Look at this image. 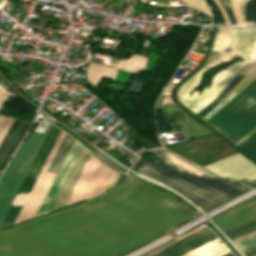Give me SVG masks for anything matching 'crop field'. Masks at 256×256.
<instances>
[{"instance_id":"0bd39190","label":"crop field","mask_w":256,"mask_h":256,"mask_svg":"<svg viewBox=\"0 0 256 256\" xmlns=\"http://www.w3.org/2000/svg\"><path fill=\"white\" fill-rule=\"evenodd\" d=\"M212 50H213V51H216V52H218V53L221 51V50H217V49H213V48H212Z\"/></svg>"},{"instance_id":"ae1a2a85","label":"crop field","mask_w":256,"mask_h":256,"mask_svg":"<svg viewBox=\"0 0 256 256\" xmlns=\"http://www.w3.org/2000/svg\"><path fill=\"white\" fill-rule=\"evenodd\" d=\"M220 1H221V3L223 4L224 8L226 9V11H227V13H228V15H229V17H230V19H231V22H232V23H236L235 18H234V15H233V13H232V10H231V7H230V4H229L228 0H220Z\"/></svg>"},{"instance_id":"a9b5d70f","label":"crop field","mask_w":256,"mask_h":256,"mask_svg":"<svg viewBox=\"0 0 256 256\" xmlns=\"http://www.w3.org/2000/svg\"><path fill=\"white\" fill-rule=\"evenodd\" d=\"M231 41H232V37L216 35L212 47L223 50L225 47H227L231 43Z\"/></svg>"},{"instance_id":"4a817a6b","label":"crop field","mask_w":256,"mask_h":256,"mask_svg":"<svg viewBox=\"0 0 256 256\" xmlns=\"http://www.w3.org/2000/svg\"><path fill=\"white\" fill-rule=\"evenodd\" d=\"M21 120L14 119L12 125L10 126L9 130L7 131L5 137L3 138L0 144V157L5 150L7 144L9 143L10 139L12 138L14 132L16 131L17 127L19 126Z\"/></svg>"},{"instance_id":"c21b1889","label":"crop field","mask_w":256,"mask_h":256,"mask_svg":"<svg viewBox=\"0 0 256 256\" xmlns=\"http://www.w3.org/2000/svg\"><path fill=\"white\" fill-rule=\"evenodd\" d=\"M227 256H234V255L231 253V254H229V255H227Z\"/></svg>"},{"instance_id":"dafd665d","label":"crop field","mask_w":256,"mask_h":256,"mask_svg":"<svg viewBox=\"0 0 256 256\" xmlns=\"http://www.w3.org/2000/svg\"><path fill=\"white\" fill-rule=\"evenodd\" d=\"M256 19V0H249L245 4V20Z\"/></svg>"},{"instance_id":"34b2d1b8","label":"crop field","mask_w":256,"mask_h":256,"mask_svg":"<svg viewBox=\"0 0 256 256\" xmlns=\"http://www.w3.org/2000/svg\"><path fill=\"white\" fill-rule=\"evenodd\" d=\"M207 122L236 143L242 139L256 126V79Z\"/></svg>"},{"instance_id":"733c2abd","label":"crop field","mask_w":256,"mask_h":256,"mask_svg":"<svg viewBox=\"0 0 256 256\" xmlns=\"http://www.w3.org/2000/svg\"><path fill=\"white\" fill-rule=\"evenodd\" d=\"M243 78V76L236 74L235 77L231 80V82L226 86V88L214 99L212 100L205 108H203L197 114L201 117L206 114L212 107H214L220 100H222L235 86L236 84Z\"/></svg>"},{"instance_id":"5a996713","label":"crop field","mask_w":256,"mask_h":256,"mask_svg":"<svg viewBox=\"0 0 256 256\" xmlns=\"http://www.w3.org/2000/svg\"><path fill=\"white\" fill-rule=\"evenodd\" d=\"M205 167L236 180L256 178V166L239 153Z\"/></svg>"},{"instance_id":"8a807250","label":"crop field","mask_w":256,"mask_h":256,"mask_svg":"<svg viewBox=\"0 0 256 256\" xmlns=\"http://www.w3.org/2000/svg\"><path fill=\"white\" fill-rule=\"evenodd\" d=\"M160 190L129 175L103 196L1 230L0 256H118L196 214Z\"/></svg>"},{"instance_id":"d8731c3e","label":"crop field","mask_w":256,"mask_h":256,"mask_svg":"<svg viewBox=\"0 0 256 256\" xmlns=\"http://www.w3.org/2000/svg\"><path fill=\"white\" fill-rule=\"evenodd\" d=\"M63 135H64V132L61 131L47 161L45 162L32 190H31V192H30V194H29V196H28L23 208L21 209L15 222L35 216L53 178L55 177L54 174H50L45 171H46Z\"/></svg>"},{"instance_id":"5142ce71","label":"crop field","mask_w":256,"mask_h":256,"mask_svg":"<svg viewBox=\"0 0 256 256\" xmlns=\"http://www.w3.org/2000/svg\"><path fill=\"white\" fill-rule=\"evenodd\" d=\"M234 73L226 71L220 81L217 83L215 88L196 106L192 109L194 112L200 111L205 107L213 98H215L227 85L230 79L233 77Z\"/></svg>"},{"instance_id":"4177f3b9","label":"crop field","mask_w":256,"mask_h":256,"mask_svg":"<svg viewBox=\"0 0 256 256\" xmlns=\"http://www.w3.org/2000/svg\"><path fill=\"white\" fill-rule=\"evenodd\" d=\"M254 226H256V219L255 220H253V221H250V222H248V223H246V224H243V225H241V226H238V227H236V228H233V229H231V230H228V231H226V232H224L228 237H230V236H232V235H235V234H237V233H240V232H242V231H244V230H247V229H249V228H252V227H254Z\"/></svg>"},{"instance_id":"eef30255","label":"crop field","mask_w":256,"mask_h":256,"mask_svg":"<svg viewBox=\"0 0 256 256\" xmlns=\"http://www.w3.org/2000/svg\"><path fill=\"white\" fill-rule=\"evenodd\" d=\"M12 121V118L0 116V142L4 137L6 131L8 130L9 126L11 125Z\"/></svg>"},{"instance_id":"3316defc","label":"crop field","mask_w":256,"mask_h":256,"mask_svg":"<svg viewBox=\"0 0 256 256\" xmlns=\"http://www.w3.org/2000/svg\"><path fill=\"white\" fill-rule=\"evenodd\" d=\"M147 59V57L134 54L126 60H119L115 68L90 62L87 69V80L96 86L99 79L104 76L114 80L118 68L128 72L142 71L145 68Z\"/></svg>"},{"instance_id":"bc2a9ffb","label":"crop field","mask_w":256,"mask_h":256,"mask_svg":"<svg viewBox=\"0 0 256 256\" xmlns=\"http://www.w3.org/2000/svg\"><path fill=\"white\" fill-rule=\"evenodd\" d=\"M225 70H222L218 72L215 77L213 78L212 84L210 88L207 90L209 84L206 86V88L202 91V93L188 106V108L191 110L200 100H202L216 85L217 81L221 77V75L224 73ZM210 83V82H209Z\"/></svg>"},{"instance_id":"5866460e","label":"crop field","mask_w":256,"mask_h":256,"mask_svg":"<svg viewBox=\"0 0 256 256\" xmlns=\"http://www.w3.org/2000/svg\"><path fill=\"white\" fill-rule=\"evenodd\" d=\"M202 43V44H208V41H205V40H203V39H200V38H198V40H197V43Z\"/></svg>"},{"instance_id":"dd49c442","label":"crop field","mask_w":256,"mask_h":256,"mask_svg":"<svg viewBox=\"0 0 256 256\" xmlns=\"http://www.w3.org/2000/svg\"><path fill=\"white\" fill-rule=\"evenodd\" d=\"M113 172L92 157L68 204L104 192Z\"/></svg>"},{"instance_id":"1d83c4d3","label":"crop field","mask_w":256,"mask_h":256,"mask_svg":"<svg viewBox=\"0 0 256 256\" xmlns=\"http://www.w3.org/2000/svg\"><path fill=\"white\" fill-rule=\"evenodd\" d=\"M0 94L2 95V96H4V97H7L9 94H11V93H8V92H6L4 89H3V87L0 85Z\"/></svg>"},{"instance_id":"d9b57169","label":"crop field","mask_w":256,"mask_h":256,"mask_svg":"<svg viewBox=\"0 0 256 256\" xmlns=\"http://www.w3.org/2000/svg\"><path fill=\"white\" fill-rule=\"evenodd\" d=\"M253 80H254L253 78L244 77L242 81L235 87V89L221 103H219L213 110H211L202 118H204L207 121L210 117H212L218 110H220L226 103H228L234 96H236L242 89H244Z\"/></svg>"},{"instance_id":"00972430","label":"crop field","mask_w":256,"mask_h":256,"mask_svg":"<svg viewBox=\"0 0 256 256\" xmlns=\"http://www.w3.org/2000/svg\"><path fill=\"white\" fill-rule=\"evenodd\" d=\"M245 0H229L233 13L238 23H242L241 5Z\"/></svg>"},{"instance_id":"d3111659","label":"crop field","mask_w":256,"mask_h":256,"mask_svg":"<svg viewBox=\"0 0 256 256\" xmlns=\"http://www.w3.org/2000/svg\"><path fill=\"white\" fill-rule=\"evenodd\" d=\"M214 2L219 7V9H220V11H221V13H222V15L224 17L225 22L226 23H231L229 18H228V16H227V14H226V12H225V10H224V8H223V6L221 5L220 1L219 0H214Z\"/></svg>"},{"instance_id":"d1516ede","label":"crop field","mask_w":256,"mask_h":256,"mask_svg":"<svg viewBox=\"0 0 256 256\" xmlns=\"http://www.w3.org/2000/svg\"><path fill=\"white\" fill-rule=\"evenodd\" d=\"M214 238H216V236L205 227L161 249L151 256H180Z\"/></svg>"},{"instance_id":"028f5c9d","label":"crop field","mask_w":256,"mask_h":256,"mask_svg":"<svg viewBox=\"0 0 256 256\" xmlns=\"http://www.w3.org/2000/svg\"><path fill=\"white\" fill-rule=\"evenodd\" d=\"M4 101H5V99L0 96V108L2 107Z\"/></svg>"},{"instance_id":"22f410ed","label":"crop field","mask_w":256,"mask_h":256,"mask_svg":"<svg viewBox=\"0 0 256 256\" xmlns=\"http://www.w3.org/2000/svg\"><path fill=\"white\" fill-rule=\"evenodd\" d=\"M256 218V200L241 204L228 212L214 218L218 226L223 230L230 229ZM213 220V221H214Z\"/></svg>"},{"instance_id":"e1f06a70","label":"crop field","mask_w":256,"mask_h":256,"mask_svg":"<svg viewBox=\"0 0 256 256\" xmlns=\"http://www.w3.org/2000/svg\"><path fill=\"white\" fill-rule=\"evenodd\" d=\"M90 157H91V155H90ZM90 157H89V159H90ZM89 159H88V161H89ZM88 161H87V163H88ZM87 163H86V165H87ZM86 165H85V167H86ZM85 167H84V169H85ZM84 169H83V171H84ZM83 171H82V173H83ZM82 173H81V175H82ZM81 175H80V177H81ZM80 177H79V179H80ZM79 179H78V181H79ZM78 181H77V183H78Z\"/></svg>"},{"instance_id":"f4fd0767","label":"crop field","mask_w":256,"mask_h":256,"mask_svg":"<svg viewBox=\"0 0 256 256\" xmlns=\"http://www.w3.org/2000/svg\"><path fill=\"white\" fill-rule=\"evenodd\" d=\"M52 123L53 120L43 134L31 132L16 152L10 165L3 174L0 180V225Z\"/></svg>"},{"instance_id":"cbeb9de0","label":"crop field","mask_w":256,"mask_h":256,"mask_svg":"<svg viewBox=\"0 0 256 256\" xmlns=\"http://www.w3.org/2000/svg\"><path fill=\"white\" fill-rule=\"evenodd\" d=\"M217 238L183 256H222L230 252L225 245Z\"/></svg>"},{"instance_id":"bd1437ed","label":"crop field","mask_w":256,"mask_h":256,"mask_svg":"<svg viewBox=\"0 0 256 256\" xmlns=\"http://www.w3.org/2000/svg\"><path fill=\"white\" fill-rule=\"evenodd\" d=\"M66 133H65V135H64V137H63V139H62V141H61V143H60V145H59V147H58V149H57V151H56V153H55V155H54V157H53V159H52V161H51V163H50V165H49V167H48V169H47V172L49 171V169H50V167H51V165H52V163H53V161H54V159H55V157H56V155H57V153H58V151H59V149H60V147H61V145H62V143H63V141H64V139H65V137H66Z\"/></svg>"},{"instance_id":"750c4746","label":"crop field","mask_w":256,"mask_h":256,"mask_svg":"<svg viewBox=\"0 0 256 256\" xmlns=\"http://www.w3.org/2000/svg\"><path fill=\"white\" fill-rule=\"evenodd\" d=\"M246 75L256 77V56H255V59H254V62L252 64V66L247 71Z\"/></svg>"},{"instance_id":"92a150f3","label":"crop field","mask_w":256,"mask_h":256,"mask_svg":"<svg viewBox=\"0 0 256 256\" xmlns=\"http://www.w3.org/2000/svg\"><path fill=\"white\" fill-rule=\"evenodd\" d=\"M28 124H29V122H28V121H25V123H24L22 129L20 130L18 136L16 137V139H15L13 145L11 146V148H10V150H9V152H8V154L6 155L4 161L2 162V164H1V166H0V170H2V169L5 167L7 161H8V159H9V157H10V154L14 152V150H15V148H16L18 142L20 141V139H21L23 133L25 132V130H26Z\"/></svg>"},{"instance_id":"c035e120","label":"crop field","mask_w":256,"mask_h":256,"mask_svg":"<svg viewBox=\"0 0 256 256\" xmlns=\"http://www.w3.org/2000/svg\"><path fill=\"white\" fill-rule=\"evenodd\" d=\"M218 35H228V34H220V33H217ZM229 36H231V35H229Z\"/></svg>"},{"instance_id":"214f88e0","label":"crop field","mask_w":256,"mask_h":256,"mask_svg":"<svg viewBox=\"0 0 256 256\" xmlns=\"http://www.w3.org/2000/svg\"><path fill=\"white\" fill-rule=\"evenodd\" d=\"M235 244L243 251L250 250L256 247V234L244 238L240 241L235 242Z\"/></svg>"},{"instance_id":"d32e631a","label":"crop field","mask_w":256,"mask_h":256,"mask_svg":"<svg viewBox=\"0 0 256 256\" xmlns=\"http://www.w3.org/2000/svg\"><path fill=\"white\" fill-rule=\"evenodd\" d=\"M255 252H256V248H255V249H252V250H250V251L245 252V255L248 256V255H250V254H252V253H255Z\"/></svg>"},{"instance_id":"120bbe31","label":"crop field","mask_w":256,"mask_h":256,"mask_svg":"<svg viewBox=\"0 0 256 256\" xmlns=\"http://www.w3.org/2000/svg\"><path fill=\"white\" fill-rule=\"evenodd\" d=\"M116 175H117V173H114V175H113V177H112V179H111V181H110V183H109L107 189L111 188V186H112V184H113V182H114V179H115ZM107 189H106V190H107Z\"/></svg>"},{"instance_id":"28ad6ade","label":"crop field","mask_w":256,"mask_h":256,"mask_svg":"<svg viewBox=\"0 0 256 256\" xmlns=\"http://www.w3.org/2000/svg\"><path fill=\"white\" fill-rule=\"evenodd\" d=\"M82 145L75 139L36 215L50 211L59 191L61 190L71 168L73 167Z\"/></svg>"},{"instance_id":"ac0d7876","label":"crop field","mask_w":256,"mask_h":256,"mask_svg":"<svg viewBox=\"0 0 256 256\" xmlns=\"http://www.w3.org/2000/svg\"><path fill=\"white\" fill-rule=\"evenodd\" d=\"M162 162L139 158L134 168L140 173L170 186L203 210L215 206L245 190L213 173H210L166 150H152Z\"/></svg>"},{"instance_id":"b80d0937","label":"crop field","mask_w":256,"mask_h":256,"mask_svg":"<svg viewBox=\"0 0 256 256\" xmlns=\"http://www.w3.org/2000/svg\"><path fill=\"white\" fill-rule=\"evenodd\" d=\"M219 28H221V29H227V30H230L229 28H224V27H219Z\"/></svg>"},{"instance_id":"e52e79f7","label":"crop field","mask_w":256,"mask_h":256,"mask_svg":"<svg viewBox=\"0 0 256 256\" xmlns=\"http://www.w3.org/2000/svg\"><path fill=\"white\" fill-rule=\"evenodd\" d=\"M60 129L52 126L48 135L46 136L25 180H29V181H35L45 160L47 159L59 133H60ZM28 194L26 193H20L18 192L1 227H5L7 225H10L12 223H14L26 197Z\"/></svg>"},{"instance_id":"730fd06b","label":"crop field","mask_w":256,"mask_h":256,"mask_svg":"<svg viewBox=\"0 0 256 256\" xmlns=\"http://www.w3.org/2000/svg\"><path fill=\"white\" fill-rule=\"evenodd\" d=\"M187 5L199 8L211 14L209 7L204 0H181Z\"/></svg>"},{"instance_id":"412701ff","label":"crop field","mask_w":256,"mask_h":256,"mask_svg":"<svg viewBox=\"0 0 256 256\" xmlns=\"http://www.w3.org/2000/svg\"><path fill=\"white\" fill-rule=\"evenodd\" d=\"M231 29L234 35V42L230 47L235 51L228 55L223 51L180 87L178 91V98L183 105L187 106L199 94V92L195 91L189 96L192 90L198 86L203 72H207L210 68L220 63L227 62L240 55L245 61L241 60L226 69L243 75L248 70L256 53V29Z\"/></svg>"}]
</instances>
